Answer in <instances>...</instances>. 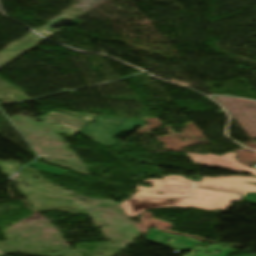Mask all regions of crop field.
Wrapping results in <instances>:
<instances>
[{"label": "crop field", "instance_id": "obj_1", "mask_svg": "<svg viewBox=\"0 0 256 256\" xmlns=\"http://www.w3.org/2000/svg\"><path fill=\"white\" fill-rule=\"evenodd\" d=\"M246 181L256 182V178L233 176L222 178L204 177L201 183L190 182L179 176H164V180L148 179L144 182L153 183V187H137L140 190L136 194L143 195V198L138 203H123L120 206L127 216H137L149 208L190 207L203 210L226 209V207L230 206L231 202L240 201L241 196L231 192L191 187L198 186L240 192L243 197H246L248 192L256 193V186L247 184L245 183ZM158 191L164 192V194H156ZM154 197L156 199H153Z\"/></svg>", "mask_w": 256, "mask_h": 256}, {"label": "crop field", "instance_id": "obj_2", "mask_svg": "<svg viewBox=\"0 0 256 256\" xmlns=\"http://www.w3.org/2000/svg\"><path fill=\"white\" fill-rule=\"evenodd\" d=\"M188 155L194 160L195 163L196 161H198L199 163H196L198 165L229 169L234 172H249L253 175H256V169L248 168L245 165L244 167H242L243 164L236 162L235 153H229V154L223 155V157H218L213 154H207L206 156V155L188 153ZM192 156H195V157L193 158ZM238 164H240V166H238Z\"/></svg>", "mask_w": 256, "mask_h": 256}, {"label": "crop field", "instance_id": "obj_3", "mask_svg": "<svg viewBox=\"0 0 256 256\" xmlns=\"http://www.w3.org/2000/svg\"><path fill=\"white\" fill-rule=\"evenodd\" d=\"M150 231H152V233L148 234L147 239L150 241H153L155 243H158V244H164V245L168 246L167 244H169V243H165L167 241V239L168 238L175 239V238H172V236L174 237L175 235L167 234L162 231L156 230L154 228L150 229ZM194 244L198 245V246L209 245V244L199 243L198 241H195L194 239H191V238L177 236V239L174 241L171 248H177V247L184 248L183 246H185V248H195V247H192ZM175 245L177 247H175ZM168 247H170V246H168ZM196 249H203V248H196ZM204 250H207V249H204Z\"/></svg>", "mask_w": 256, "mask_h": 256}, {"label": "crop field", "instance_id": "obj_4", "mask_svg": "<svg viewBox=\"0 0 256 256\" xmlns=\"http://www.w3.org/2000/svg\"><path fill=\"white\" fill-rule=\"evenodd\" d=\"M44 117H46L48 119V121H50V122L58 123V121H60L61 123H59V124L64 125L70 129L78 131V132H80L87 124H89V123L82 121L81 119L71 117V116H68L65 114L57 113L54 111L48 113ZM84 119L90 120V121L95 120L94 118H90V117H84Z\"/></svg>", "mask_w": 256, "mask_h": 256}, {"label": "crop field", "instance_id": "obj_5", "mask_svg": "<svg viewBox=\"0 0 256 256\" xmlns=\"http://www.w3.org/2000/svg\"><path fill=\"white\" fill-rule=\"evenodd\" d=\"M31 167L37 168V169H40V170H43L45 172L55 174V175H62V174L67 172V171H64V170L48 167V166H46L44 164H40V163H36V164L32 165Z\"/></svg>", "mask_w": 256, "mask_h": 256}, {"label": "crop field", "instance_id": "obj_6", "mask_svg": "<svg viewBox=\"0 0 256 256\" xmlns=\"http://www.w3.org/2000/svg\"><path fill=\"white\" fill-rule=\"evenodd\" d=\"M230 253H231V251L224 250L221 254L213 255V254L205 253V254H200V255H197V256H228V254H230ZM186 256H190V255H186Z\"/></svg>", "mask_w": 256, "mask_h": 256}, {"label": "crop field", "instance_id": "obj_7", "mask_svg": "<svg viewBox=\"0 0 256 256\" xmlns=\"http://www.w3.org/2000/svg\"><path fill=\"white\" fill-rule=\"evenodd\" d=\"M135 196L136 197H134V194H133L132 198L127 200L126 202H138L141 197H139L140 195H135Z\"/></svg>", "mask_w": 256, "mask_h": 256}, {"label": "crop field", "instance_id": "obj_8", "mask_svg": "<svg viewBox=\"0 0 256 256\" xmlns=\"http://www.w3.org/2000/svg\"><path fill=\"white\" fill-rule=\"evenodd\" d=\"M247 198L255 199L256 200V194L248 193Z\"/></svg>", "mask_w": 256, "mask_h": 256}, {"label": "crop field", "instance_id": "obj_9", "mask_svg": "<svg viewBox=\"0 0 256 256\" xmlns=\"http://www.w3.org/2000/svg\"><path fill=\"white\" fill-rule=\"evenodd\" d=\"M243 202L256 204V202H254V201H250V200H246V199H244V201H243Z\"/></svg>", "mask_w": 256, "mask_h": 256}, {"label": "crop field", "instance_id": "obj_10", "mask_svg": "<svg viewBox=\"0 0 256 256\" xmlns=\"http://www.w3.org/2000/svg\"><path fill=\"white\" fill-rule=\"evenodd\" d=\"M109 136H110V135H109ZM109 136H108V137H109ZM110 144H111V143H110Z\"/></svg>", "mask_w": 256, "mask_h": 256}, {"label": "crop field", "instance_id": "obj_11", "mask_svg": "<svg viewBox=\"0 0 256 256\" xmlns=\"http://www.w3.org/2000/svg\"><path fill=\"white\" fill-rule=\"evenodd\" d=\"M0 256H2V255L0 254Z\"/></svg>", "mask_w": 256, "mask_h": 256}, {"label": "crop field", "instance_id": "obj_12", "mask_svg": "<svg viewBox=\"0 0 256 256\" xmlns=\"http://www.w3.org/2000/svg\"><path fill=\"white\" fill-rule=\"evenodd\" d=\"M2 254V253H1Z\"/></svg>", "mask_w": 256, "mask_h": 256}]
</instances>
